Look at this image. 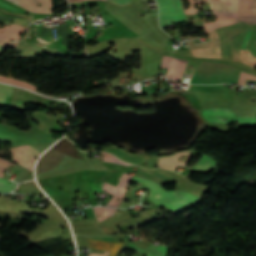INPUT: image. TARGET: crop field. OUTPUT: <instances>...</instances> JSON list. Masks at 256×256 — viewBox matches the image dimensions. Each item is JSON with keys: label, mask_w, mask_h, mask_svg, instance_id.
Listing matches in <instances>:
<instances>
[{"label": "crop field", "mask_w": 256, "mask_h": 256, "mask_svg": "<svg viewBox=\"0 0 256 256\" xmlns=\"http://www.w3.org/2000/svg\"><path fill=\"white\" fill-rule=\"evenodd\" d=\"M131 181L139 182L150 188L148 198L157 203L159 206L168 207L179 211L190 207L198 199V197L184 191H166L160 184L139 177L133 176Z\"/></svg>", "instance_id": "obj_1"}, {"label": "crop field", "mask_w": 256, "mask_h": 256, "mask_svg": "<svg viewBox=\"0 0 256 256\" xmlns=\"http://www.w3.org/2000/svg\"><path fill=\"white\" fill-rule=\"evenodd\" d=\"M214 16L218 18L215 23H204L206 34L216 28L237 23L239 0H210Z\"/></svg>", "instance_id": "obj_2"}, {"label": "crop field", "mask_w": 256, "mask_h": 256, "mask_svg": "<svg viewBox=\"0 0 256 256\" xmlns=\"http://www.w3.org/2000/svg\"><path fill=\"white\" fill-rule=\"evenodd\" d=\"M203 115L209 122L234 123V120H238L240 127L256 126V117H236L232 109H204ZM222 119H227V121H222Z\"/></svg>", "instance_id": "obj_3"}, {"label": "crop field", "mask_w": 256, "mask_h": 256, "mask_svg": "<svg viewBox=\"0 0 256 256\" xmlns=\"http://www.w3.org/2000/svg\"><path fill=\"white\" fill-rule=\"evenodd\" d=\"M160 8V26L187 21L181 0H157Z\"/></svg>", "instance_id": "obj_4"}, {"label": "crop field", "mask_w": 256, "mask_h": 256, "mask_svg": "<svg viewBox=\"0 0 256 256\" xmlns=\"http://www.w3.org/2000/svg\"><path fill=\"white\" fill-rule=\"evenodd\" d=\"M10 151L13 153V161L30 171L33 169L36 157L40 154L28 145L18 146L10 149Z\"/></svg>", "instance_id": "obj_5"}, {"label": "crop field", "mask_w": 256, "mask_h": 256, "mask_svg": "<svg viewBox=\"0 0 256 256\" xmlns=\"http://www.w3.org/2000/svg\"><path fill=\"white\" fill-rule=\"evenodd\" d=\"M131 178H132V175L123 173V175L119 179L120 182L117 187H115L107 182L103 183L102 189L114 195V197L107 204V206L118 207L117 205H118L119 201L123 198V196L125 194V190H126V185L131 180ZM117 198H120V200L116 201Z\"/></svg>", "instance_id": "obj_6"}, {"label": "crop field", "mask_w": 256, "mask_h": 256, "mask_svg": "<svg viewBox=\"0 0 256 256\" xmlns=\"http://www.w3.org/2000/svg\"><path fill=\"white\" fill-rule=\"evenodd\" d=\"M13 3L34 13H49L52 14V0H10ZM41 3V7H38Z\"/></svg>", "instance_id": "obj_7"}, {"label": "crop field", "mask_w": 256, "mask_h": 256, "mask_svg": "<svg viewBox=\"0 0 256 256\" xmlns=\"http://www.w3.org/2000/svg\"><path fill=\"white\" fill-rule=\"evenodd\" d=\"M0 129L6 130L8 132H12L9 129H7L6 127L2 126L1 124H0ZM6 131L0 130V138H4V139L11 141L14 134L8 133ZM55 140H57V139L49 138V139H41V140H30V139L24 138L15 133L14 138L12 140V142H13L12 147H15L18 145H23V144H42V143L53 142Z\"/></svg>", "instance_id": "obj_8"}, {"label": "crop field", "mask_w": 256, "mask_h": 256, "mask_svg": "<svg viewBox=\"0 0 256 256\" xmlns=\"http://www.w3.org/2000/svg\"><path fill=\"white\" fill-rule=\"evenodd\" d=\"M170 59H171V57L163 55V61H162L161 67L168 68ZM175 62H176V59L172 57L170 67H169V73L167 71L168 77H170V78H172V75H173ZM187 62L188 61H186V60L177 59L173 79H176V80L180 79Z\"/></svg>", "instance_id": "obj_9"}, {"label": "crop field", "mask_w": 256, "mask_h": 256, "mask_svg": "<svg viewBox=\"0 0 256 256\" xmlns=\"http://www.w3.org/2000/svg\"><path fill=\"white\" fill-rule=\"evenodd\" d=\"M88 247L97 248L101 250H111L109 256H116L118 250L124 246V243H117L116 241L100 240L96 238H85Z\"/></svg>", "instance_id": "obj_10"}, {"label": "crop field", "mask_w": 256, "mask_h": 256, "mask_svg": "<svg viewBox=\"0 0 256 256\" xmlns=\"http://www.w3.org/2000/svg\"><path fill=\"white\" fill-rule=\"evenodd\" d=\"M186 154H187V159L185 162L177 161V157H179L181 155H186ZM190 154H191V152H180V153L170 156V157L160 158L159 167H166V168H169L174 171V169L176 168L177 165H180V166L186 165V163L188 162V160L190 158Z\"/></svg>", "instance_id": "obj_11"}, {"label": "crop field", "mask_w": 256, "mask_h": 256, "mask_svg": "<svg viewBox=\"0 0 256 256\" xmlns=\"http://www.w3.org/2000/svg\"><path fill=\"white\" fill-rule=\"evenodd\" d=\"M25 31V27L18 26L16 24L6 25V27L0 29V39L9 41L10 38L19 40V34Z\"/></svg>", "instance_id": "obj_12"}, {"label": "crop field", "mask_w": 256, "mask_h": 256, "mask_svg": "<svg viewBox=\"0 0 256 256\" xmlns=\"http://www.w3.org/2000/svg\"><path fill=\"white\" fill-rule=\"evenodd\" d=\"M127 248L145 253L147 256H167L168 246H158V247H156V246L151 245L147 249L144 250L140 247L129 244L127 246Z\"/></svg>", "instance_id": "obj_13"}, {"label": "crop field", "mask_w": 256, "mask_h": 256, "mask_svg": "<svg viewBox=\"0 0 256 256\" xmlns=\"http://www.w3.org/2000/svg\"><path fill=\"white\" fill-rule=\"evenodd\" d=\"M216 164L217 163H215L213 160L203 155L191 171L198 173H208L212 171Z\"/></svg>", "instance_id": "obj_14"}, {"label": "crop field", "mask_w": 256, "mask_h": 256, "mask_svg": "<svg viewBox=\"0 0 256 256\" xmlns=\"http://www.w3.org/2000/svg\"><path fill=\"white\" fill-rule=\"evenodd\" d=\"M93 210H94V213L95 215H100V218H98V216H96L98 222L114 215L115 213V210L116 209H113V208H105V207H93ZM103 214V218H101V215Z\"/></svg>", "instance_id": "obj_15"}, {"label": "crop field", "mask_w": 256, "mask_h": 256, "mask_svg": "<svg viewBox=\"0 0 256 256\" xmlns=\"http://www.w3.org/2000/svg\"><path fill=\"white\" fill-rule=\"evenodd\" d=\"M13 88L12 86L0 84V104L5 105L6 98L12 95Z\"/></svg>", "instance_id": "obj_16"}, {"label": "crop field", "mask_w": 256, "mask_h": 256, "mask_svg": "<svg viewBox=\"0 0 256 256\" xmlns=\"http://www.w3.org/2000/svg\"><path fill=\"white\" fill-rule=\"evenodd\" d=\"M17 185H18L17 183H14V182L10 183L0 178V193L10 192L13 189H15Z\"/></svg>", "instance_id": "obj_17"}, {"label": "crop field", "mask_w": 256, "mask_h": 256, "mask_svg": "<svg viewBox=\"0 0 256 256\" xmlns=\"http://www.w3.org/2000/svg\"><path fill=\"white\" fill-rule=\"evenodd\" d=\"M0 81L16 84V85L23 86V87H27V88L32 89V90L35 91V86L30 85V84L25 83V82H22L20 80H15V79H10V78L0 76Z\"/></svg>", "instance_id": "obj_18"}, {"label": "crop field", "mask_w": 256, "mask_h": 256, "mask_svg": "<svg viewBox=\"0 0 256 256\" xmlns=\"http://www.w3.org/2000/svg\"><path fill=\"white\" fill-rule=\"evenodd\" d=\"M247 79L256 80V76H253L241 71L237 83L245 86Z\"/></svg>", "instance_id": "obj_19"}, {"label": "crop field", "mask_w": 256, "mask_h": 256, "mask_svg": "<svg viewBox=\"0 0 256 256\" xmlns=\"http://www.w3.org/2000/svg\"><path fill=\"white\" fill-rule=\"evenodd\" d=\"M190 3V9L184 10L186 14H194L197 13L199 9H194V3H199V7H201V2H207L208 0H188Z\"/></svg>", "instance_id": "obj_20"}, {"label": "crop field", "mask_w": 256, "mask_h": 256, "mask_svg": "<svg viewBox=\"0 0 256 256\" xmlns=\"http://www.w3.org/2000/svg\"><path fill=\"white\" fill-rule=\"evenodd\" d=\"M103 155H104V159L105 161H109V162H113V163H118V164H122V165H126V166H129L131 164H127V163H124L120 160H118L117 158H115L114 156L108 154V153H105L103 152Z\"/></svg>", "instance_id": "obj_21"}, {"label": "crop field", "mask_w": 256, "mask_h": 256, "mask_svg": "<svg viewBox=\"0 0 256 256\" xmlns=\"http://www.w3.org/2000/svg\"><path fill=\"white\" fill-rule=\"evenodd\" d=\"M18 44L0 40V54L5 46L16 48Z\"/></svg>", "instance_id": "obj_22"}, {"label": "crop field", "mask_w": 256, "mask_h": 256, "mask_svg": "<svg viewBox=\"0 0 256 256\" xmlns=\"http://www.w3.org/2000/svg\"><path fill=\"white\" fill-rule=\"evenodd\" d=\"M10 164H12V163L0 158V176L5 175L2 173V171L4 168L8 167ZM12 165H14V164H12Z\"/></svg>", "instance_id": "obj_23"}, {"label": "crop field", "mask_w": 256, "mask_h": 256, "mask_svg": "<svg viewBox=\"0 0 256 256\" xmlns=\"http://www.w3.org/2000/svg\"><path fill=\"white\" fill-rule=\"evenodd\" d=\"M111 2L118 4V5H127V4H131L132 1L131 0H110Z\"/></svg>", "instance_id": "obj_24"}, {"label": "crop field", "mask_w": 256, "mask_h": 256, "mask_svg": "<svg viewBox=\"0 0 256 256\" xmlns=\"http://www.w3.org/2000/svg\"><path fill=\"white\" fill-rule=\"evenodd\" d=\"M252 30H253V28L249 29V31H248V33H247V35H246V37H245V39H244V41H243L242 49H245V48H246V45H247V43H248V39H249V36H250Z\"/></svg>", "instance_id": "obj_25"}, {"label": "crop field", "mask_w": 256, "mask_h": 256, "mask_svg": "<svg viewBox=\"0 0 256 256\" xmlns=\"http://www.w3.org/2000/svg\"><path fill=\"white\" fill-rule=\"evenodd\" d=\"M0 5L3 6V7L9 8V9L12 10V11H21V10H18V9H16V8H13V7H11V6H9V5H7V4L1 2V1H0Z\"/></svg>", "instance_id": "obj_26"}, {"label": "crop field", "mask_w": 256, "mask_h": 256, "mask_svg": "<svg viewBox=\"0 0 256 256\" xmlns=\"http://www.w3.org/2000/svg\"><path fill=\"white\" fill-rule=\"evenodd\" d=\"M110 251H106L104 255L99 254V253H91L90 256H108Z\"/></svg>", "instance_id": "obj_27"}, {"label": "crop field", "mask_w": 256, "mask_h": 256, "mask_svg": "<svg viewBox=\"0 0 256 256\" xmlns=\"http://www.w3.org/2000/svg\"><path fill=\"white\" fill-rule=\"evenodd\" d=\"M69 2H80V1H83V0H68Z\"/></svg>", "instance_id": "obj_28"}]
</instances>
